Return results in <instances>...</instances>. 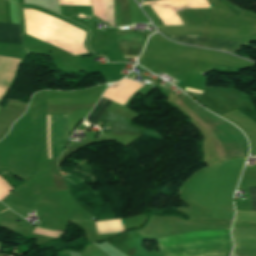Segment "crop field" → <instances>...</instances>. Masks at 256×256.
I'll return each instance as SVG.
<instances>
[{
  "mask_svg": "<svg viewBox=\"0 0 256 256\" xmlns=\"http://www.w3.org/2000/svg\"><path fill=\"white\" fill-rule=\"evenodd\" d=\"M151 4L150 2L143 3V5Z\"/></svg>",
  "mask_w": 256,
  "mask_h": 256,
  "instance_id": "crop-field-13",
  "label": "crop field"
},
{
  "mask_svg": "<svg viewBox=\"0 0 256 256\" xmlns=\"http://www.w3.org/2000/svg\"><path fill=\"white\" fill-rule=\"evenodd\" d=\"M111 101L101 98L94 109L87 117V121L95 124L97 120L103 115Z\"/></svg>",
  "mask_w": 256,
  "mask_h": 256,
  "instance_id": "crop-field-8",
  "label": "crop field"
},
{
  "mask_svg": "<svg viewBox=\"0 0 256 256\" xmlns=\"http://www.w3.org/2000/svg\"><path fill=\"white\" fill-rule=\"evenodd\" d=\"M98 234L123 231L121 220L95 222Z\"/></svg>",
  "mask_w": 256,
  "mask_h": 256,
  "instance_id": "crop-field-7",
  "label": "crop field"
},
{
  "mask_svg": "<svg viewBox=\"0 0 256 256\" xmlns=\"http://www.w3.org/2000/svg\"><path fill=\"white\" fill-rule=\"evenodd\" d=\"M117 45L124 57L138 58L149 33L116 32Z\"/></svg>",
  "mask_w": 256,
  "mask_h": 256,
  "instance_id": "crop-field-4",
  "label": "crop field"
},
{
  "mask_svg": "<svg viewBox=\"0 0 256 256\" xmlns=\"http://www.w3.org/2000/svg\"><path fill=\"white\" fill-rule=\"evenodd\" d=\"M249 189L252 201V208L253 211H256V187H249Z\"/></svg>",
  "mask_w": 256,
  "mask_h": 256,
  "instance_id": "crop-field-11",
  "label": "crop field"
},
{
  "mask_svg": "<svg viewBox=\"0 0 256 256\" xmlns=\"http://www.w3.org/2000/svg\"><path fill=\"white\" fill-rule=\"evenodd\" d=\"M185 90H187V91H192V92H196V93H200V94H202V92H199V91H195V90H191V89H185Z\"/></svg>",
  "mask_w": 256,
  "mask_h": 256,
  "instance_id": "crop-field-12",
  "label": "crop field"
},
{
  "mask_svg": "<svg viewBox=\"0 0 256 256\" xmlns=\"http://www.w3.org/2000/svg\"><path fill=\"white\" fill-rule=\"evenodd\" d=\"M169 37L181 43L214 48L218 50L227 51L232 54L236 53L242 47L249 44L247 42L213 38V37L200 36V35L169 36Z\"/></svg>",
  "mask_w": 256,
  "mask_h": 256,
  "instance_id": "crop-field-3",
  "label": "crop field"
},
{
  "mask_svg": "<svg viewBox=\"0 0 256 256\" xmlns=\"http://www.w3.org/2000/svg\"><path fill=\"white\" fill-rule=\"evenodd\" d=\"M53 157L68 143V115H51ZM48 156L52 158L50 115H48Z\"/></svg>",
  "mask_w": 256,
  "mask_h": 256,
  "instance_id": "crop-field-2",
  "label": "crop field"
},
{
  "mask_svg": "<svg viewBox=\"0 0 256 256\" xmlns=\"http://www.w3.org/2000/svg\"><path fill=\"white\" fill-rule=\"evenodd\" d=\"M114 11L116 26H126L130 24L128 0H114Z\"/></svg>",
  "mask_w": 256,
  "mask_h": 256,
  "instance_id": "crop-field-6",
  "label": "crop field"
},
{
  "mask_svg": "<svg viewBox=\"0 0 256 256\" xmlns=\"http://www.w3.org/2000/svg\"><path fill=\"white\" fill-rule=\"evenodd\" d=\"M5 211V210H4ZM3 212V211H2Z\"/></svg>",
  "mask_w": 256,
  "mask_h": 256,
  "instance_id": "crop-field-15",
  "label": "crop field"
},
{
  "mask_svg": "<svg viewBox=\"0 0 256 256\" xmlns=\"http://www.w3.org/2000/svg\"><path fill=\"white\" fill-rule=\"evenodd\" d=\"M34 233H38V234H42V235H46V236H50V237H54V238H56V236L58 235L57 232L43 230V229H39V228H36Z\"/></svg>",
  "mask_w": 256,
  "mask_h": 256,
  "instance_id": "crop-field-10",
  "label": "crop field"
},
{
  "mask_svg": "<svg viewBox=\"0 0 256 256\" xmlns=\"http://www.w3.org/2000/svg\"><path fill=\"white\" fill-rule=\"evenodd\" d=\"M107 18L114 20L113 0H105Z\"/></svg>",
  "mask_w": 256,
  "mask_h": 256,
  "instance_id": "crop-field-9",
  "label": "crop field"
},
{
  "mask_svg": "<svg viewBox=\"0 0 256 256\" xmlns=\"http://www.w3.org/2000/svg\"><path fill=\"white\" fill-rule=\"evenodd\" d=\"M146 1H153V0H144L143 2H146Z\"/></svg>",
  "mask_w": 256,
  "mask_h": 256,
  "instance_id": "crop-field-14",
  "label": "crop field"
},
{
  "mask_svg": "<svg viewBox=\"0 0 256 256\" xmlns=\"http://www.w3.org/2000/svg\"><path fill=\"white\" fill-rule=\"evenodd\" d=\"M163 256H229V230L203 231L158 240Z\"/></svg>",
  "mask_w": 256,
  "mask_h": 256,
  "instance_id": "crop-field-1",
  "label": "crop field"
},
{
  "mask_svg": "<svg viewBox=\"0 0 256 256\" xmlns=\"http://www.w3.org/2000/svg\"><path fill=\"white\" fill-rule=\"evenodd\" d=\"M0 43L23 45L20 36V24H0Z\"/></svg>",
  "mask_w": 256,
  "mask_h": 256,
  "instance_id": "crop-field-5",
  "label": "crop field"
}]
</instances>
